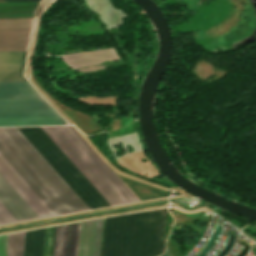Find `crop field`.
Here are the masks:
<instances>
[{
  "label": "crop field",
  "mask_w": 256,
  "mask_h": 256,
  "mask_svg": "<svg viewBox=\"0 0 256 256\" xmlns=\"http://www.w3.org/2000/svg\"><path fill=\"white\" fill-rule=\"evenodd\" d=\"M41 128L111 206L139 201L72 126ZM41 128L17 129L90 209L110 206Z\"/></svg>",
  "instance_id": "obj_1"
},
{
  "label": "crop field",
  "mask_w": 256,
  "mask_h": 256,
  "mask_svg": "<svg viewBox=\"0 0 256 256\" xmlns=\"http://www.w3.org/2000/svg\"><path fill=\"white\" fill-rule=\"evenodd\" d=\"M0 155L54 215L89 209L16 128H0Z\"/></svg>",
  "instance_id": "obj_2"
},
{
  "label": "crop field",
  "mask_w": 256,
  "mask_h": 256,
  "mask_svg": "<svg viewBox=\"0 0 256 256\" xmlns=\"http://www.w3.org/2000/svg\"><path fill=\"white\" fill-rule=\"evenodd\" d=\"M166 209L106 218L102 256L163 253Z\"/></svg>",
  "instance_id": "obj_3"
},
{
  "label": "crop field",
  "mask_w": 256,
  "mask_h": 256,
  "mask_svg": "<svg viewBox=\"0 0 256 256\" xmlns=\"http://www.w3.org/2000/svg\"><path fill=\"white\" fill-rule=\"evenodd\" d=\"M55 112L28 82H0V114ZM66 124L57 113L0 115V126Z\"/></svg>",
  "instance_id": "obj_4"
},
{
  "label": "crop field",
  "mask_w": 256,
  "mask_h": 256,
  "mask_svg": "<svg viewBox=\"0 0 256 256\" xmlns=\"http://www.w3.org/2000/svg\"><path fill=\"white\" fill-rule=\"evenodd\" d=\"M0 174L36 213L39 218L52 216L50 210L32 192L24 181L0 156ZM0 175V202L13 215L17 221L38 218L19 195ZM0 203V224L15 222L16 220Z\"/></svg>",
  "instance_id": "obj_5"
},
{
  "label": "crop field",
  "mask_w": 256,
  "mask_h": 256,
  "mask_svg": "<svg viewBox=\"0 0 256 256\" xmlns=\"http://www.w3.org/2000/svg\"><path fill=\"white\" fill-rule=\"evenodd\" d=\"M33 18H0V51L26 50ZM26 51L0 52V81H26Z\"/></svg>",
  "instance_id": "obj_6"
},
{
  "label": "crop field",
  "mask_w": 256,
  "mask_h": 256,
  "mask_svg": "<svg viewBox=\"0 0 256 256\" xmlns=\"http://www.w3.org/2000/svg\"><path fill=\"white\" fill-rule=\"evenodd\" d=\"M101 224H102V218L96 220V225H95V220L85 221L80 223L77 256L92 255L94 225H95V235H94V245H93V256H98Z\"/></svg>",
  "instance_id": "obj_7"
},
{
  "label": "crop field",
  "mask_w": 256,
  "mask_h": 256,
  "mask_svg": "<svg viewBox=\"0 0 256 256\" xmlns=\"http://www.w3.org/2000/svg\"><path fill=\"white\" fill-rule=\"evenodd\" d=\"M77 228H78V223L58 226L56 227V232L54 227L55 244H54V232H53L51 256H53V244H54V256H75Z\"/></svg>",
  "instance_id": "obj_8"
},
{
  "label": "crop field",
  "mask_w": 256,
  "mask_h": 256,
  "mask_svg": "<svg viewBox=\"0 0 256 256\" xmlns=\"http://www.w3.org/2000/svg\"><path fill=\"white\" fill-rule=\"evenodd\" d=\"M62 58L74 68L98 64L105 60L119 59L113 48L64 54Z\"/></svg>",
  "instance_id": "obj_9"
},
{
  "label": "crop field",
  "mask_w": 256,
  "mask_h": 256,
  "mask_svg": "<svg viewBox=\"0 0 256 256\" xmlns=\"http://www.w3.org/2000/svg\"><path fill=\"white\" fill-rule=\"evenodd\" d=\"M39 1L0 2V17H33Z\"/></svg>",
  "instance_id": "obj_10"
},
{
  "label": "crop field",
  "mask_w": 256,
  "mask_h": 256,
  "mask_svg": "<svg viewBox=\"0 0 256 256\" xmlns=\"http://www.w3.org/2000/svg\"><path fill=\"white\" fill-rule=\"evenodd\" d=\"M24 236L25 232L9 235L7 256H22Z\"/></svg>",
  "instance_id": "obj_11"
},
{
  "label": "crop field",
  "mask_w": 256,
  "mask_h": 256,
  "mask_svg": "<svg viewBox=\"0 0 256 256\" xmlns=\"http://www.w3.org/2000/svg\"><path fill=\"white\" fill-rule=\"evenodd\" d=\"M55 0H43L42 3L40 4V6L37 9L36 12V16H35V21H34V26H33V31H32V35L34 36V40H33V47H32V53H31V57L33 55L34 52V44H35V39H36V35H37V31H38V24H39V18L40 15L50 7V5L54 2ZM31 61V59H30ZM29 72H30V63H29Z\"/></svg>",
  "instance_id": "obj_12"
},
{
  "label": "crop field",
  "mask_w": 256,
  "mask_h": 256,
  "mask_svg": "<svg viewBox=\"0 0 256 256\" xmlns=\"http://www.w3.org/2000/svg\"><path fill=\"white\" fill-rule=\"evenodd\" d=\"M45 228L36 230L34 256H42Z\"/></svg>",
  "instance_id": "obj_13"
},
{
  "label": "crop field",
  "mask_w": 256,
  "mask_h": 256,
  "mask_svg": "<svg viewBox=\"0 0 256 256\" xmlns=\"http://www.w3.org/2000/svg\"><path fill=\"white\" fill-rule=\"evenodd\" d=\"M35 230L26 232L23 256H33Z\"/></svg>",
  "instance_id": "obj_14"
},
{
  "label": "crop field",
  "mask_w": 256,
  "mask_h": 256,
  "mask_svg": "<svg viewBox=\"0 0 256 256\" xmlns=\"http://www.w3.org/2000/svg\"><path fill=\"white\" fill-rule=\"evenodd\" d=\"M8 235L0 236V256H6Z\"/></svg>",
  "instance_id": "obj_15"
},
{
  "label": "crop field",
  "mask_w": 256,
  "mask_h": 256,
  "mask_svg": "<svg viewBox=\"0 0 256 256\" xmlns=\"http://www.w3.org/2000/svg\"><path fill=\"white\" fill-rule=\"evenodd\" d=\"M51 242H52V237H45L44 255L43 256H50Z\"/></svg>",
  "instance_id": "obj_16"
},
{
  "label": "crop field",
  "mask_w": 256,
  "mask_h": 256,
  "mask_svg": "<svg viewBox=\"0 0 256 256\" xmlns=\"http://www.w3.org/2000/svg\"><path fill=\"white\" fill-rule=\"evenodd\" d=\"M0 1H22V0H0Z\"/></svg>",
  "instance_id": "obj_17"
}]
</instances>
